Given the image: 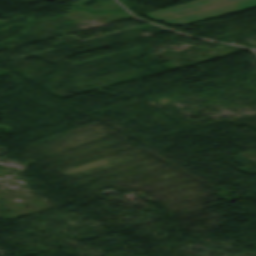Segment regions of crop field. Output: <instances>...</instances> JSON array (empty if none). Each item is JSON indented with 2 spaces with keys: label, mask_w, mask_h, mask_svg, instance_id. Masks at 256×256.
<instances>
[{
  "label": "crop field",
  "mask_w": 256,
  "mask_h": 256,
  "mask_svg": "<svg viewBox=\"0 0 256 256\" xmlns=\"http://www.w3.org/2000/svg\"><path fill=\"white\" fill-rule=\"evenodd\" d=\"M256 7V0H244L188 15H183L167 20H163L166 24H179V25H185L249 8Z\"/></svg>",
  "instance_id": "crop-field-1"
},
{
  "label": "crop field",
  "mask_w": 256,
  "mask_h": 256,
  "mask_svg": "<svg viewBox=\"0 0 256 256\" xmlns=\"http://www.w3.org/2000/svg\"><path fill=\"white\" fill-rule=\"evenodd\" d=\"M236 1H240V0H202L196 3H192V4H188V5H184V6L144 15V16L151 20H163V19H167V18H171V17L183 15V14H188V13H192V12H196V11L236 2Z\"/></svg>",
  "instance_id": "crop-field-2"
}]
</instances>
